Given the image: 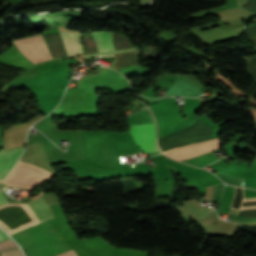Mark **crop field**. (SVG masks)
<instances>
[{"label":"crop field","mask_w":256,"mask_h":256,"mask_svg":"<svg viewBox=\"0 0 256 256\" xmlns=\"http://www.w3.org/2000/svg\"><path fill=\"white\" fill-rule=\"evenodd\" d=\"M8 239V237L0 230V241Z\"/></svg>","instance_id":"obj_12"},{"label":"crop field","mask_w":256,"mask_h":256,"mask_svg":"<svg viewBox=\"0 0 256 256\" xmlns=\"http://www.w3.org/2000/svg\"><path fill=\"white\" fill-rule=\"evenodd\" d=\"M57 256H78V255L76 254V252L73 249H71V250H69L63 254L57 255Z\"/></svg>","instance_id":"obj_11"},{"label":"crop field","mask_w":256,"mask_h":256,"mask_svg":"<svg viewBox=\"0 0 256 256\" xmlns=\"http://www.w3.org/2000/svg\"><path fill=\"white\" fill-rule=\"evenodd\" d=\"M223 189H224V184L214 185V193H213L212 201L219 203Z\"/></svg>","instance_id":"obj_10"},{"label":"crop field","mask_w":256,"mask_h":256,"mask_svg":"<svg viewBox=\"0 0 256 256\" xmlns=\"http://www.w3.org/2000/svg\"><path fill=\"white\" fill-rule=\"evenodd\" d=\"M59 33L62 37L68 56L83 53L81 43L78 39V34L68 32Z\"/></svg>","instance_id":"obj_7"},{"label":"crop field","mask_w":256,"mask_h":256,"mask_svg":"<svg viewBox=\"0 0 256 256\" xmlns=\"http://www.w3.org/2000/svg\"><path fill=\"white\" fill-rule=\"evenodd\" d=\"M23 150L24 146L0 151V179L5 177Z\"/></svg>","instance_id":"obj_6"},{"label":"crop field","mask_w":256,"mask_h":256,"mask_svg":"<svg viewBox=\"0 0 256 256\" xmlns=\"http://www.w3.org/2000/svg\"><path fill=\"white\" fill-rule=\"evenodd\" d=\"M219 147H220V140L219 138H216L206 142L183 146V147L165 152V154L177 160H184L202 153L212 151Z\"/></svg>","instance_id":"obj_3"},{"label":"crop field","mask_w":256,"mask_h":256,"mask_svg":"<svg viewBox=\"0 0 256 256\" xmlns=\"http://www.w3.org/2000/svg\"><path fill=\"white\" fill-rule=\"evenodd\" d=\"M215 175H217L220 179H222L223 181H225L227 183L243 186L244 179L228 177L220 172L216 173Z\"/></svg>","instance_id":"obj_9"},{"label":"crop field","mask_w":256,"mask_h":256,"mask_svg":"<svg viewBox=\"0 0 256 256\" xmlns=\"http://www.w3.org/2000/svg\"><path fill=\"white\" fill-rule=\"evenodd\" d=\"M16 247L17 245L11 239L0 242V252L8 249L16 248ZM1 255L2 256H23L19 248L1 252Z\"/></svg>","instance_id":"obj_8"},{"label":"crop field","mask_w":256,"mask_h":256,"mask_svg":"<svg viewBox=\"0 0 256 256\" xmlns=\"http://www.w3.org/2000/svg\"><path fill=\"white\" fill-rule=\"evenodd\" d=\"M12 42L16 51H20L31 61L51 55L41 34Z\"/></svg>","instance_id":"obj_1"},{"label":"crop field","mask_w":256,"mask_h":256,"mask_svg":"<svg viewBox=\"0 0 256 256\" xmlns=\"http://www.w3.org/2000/svg\"><path fill=\"white\" fill-rule=\"evenodd\" d=\"M97 51L98 52H103V51H114V46L112 44V34L109 32H91ZM135 48L128 49V50H120V51H115V52H108V53H102V54H89L86 55L85 57L89 56H97V55H104V54H113V53H123V52H131L135 51Z\"/></svg>","instance_id":"obj_4"},{"label":"crop field","mask_w":256,"mask_h":256,"mask_svg":"<svg viewBox=\"0 0 256 256\" xmlns=\"http://www.w3.org/2000/svg\"><path fill=\"white\" fill-rule=\"evenodd\" d=\"M4 203H7V201L4 198L3 192L0 190V205ZM26 204L32 209L40 223L52 218L47 204L42 197L33 199Z\"/></svg>","instance_id":"obj_5"},{"label":"crop field","mask_w":256,"mask_h":256,"mask_svg":"<svg viewBox=\"0 0 256 256\" xmlns=\"http://www.w3.org/2000/svg\"><path fill=\"white\" fill-rule=\"evenodd\" d=\"M129 132L142 152L159 151L155 143L154 124L128 125Z\"/></svg>","instance_id":"obj_2"}]
</instances>
